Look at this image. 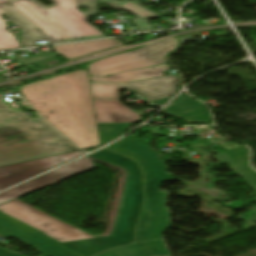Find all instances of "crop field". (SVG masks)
<instances>
[{"instance_id": "14", "label": "crop field", "mask_w": 256, "mask_h": 256, "mask_svg": "<svg viewBox=\"0 0 256 256\" xmlns=\"http://www.w3.org/2000/svg\"><path fill=\"white\" fill-rule=\"evenodd\" d=\"M5 1H8V0H0V3L5 2Z\"/></svg>"}, {"instance_id": "13", "label": "crop field", "mask_w": 256, "mask_h": 256, "mask_svg": "<svg viewBox=\"0 0 256 256\" xmlns=\"http://www.w3.org/2000/svg\"><path fill=\"white\" fill-rule=\"evenodd\" d=\"M170 98L167 99H163V100H159V101H155V102H151V103H155V104H159V105H163L167 100H169Z\"/></svg>"}, {"instance_id": "11", "label": "crop field", "mask_w": 256, "mask_h": 256, "mask_svg": "<svg viewBox=\"0 0 256 256\" xmlns=\"http://www.w3.org/2000/svg\"><path fill=\"white\" fill-rule=\"evenodd\" d=\"M169 69L166 64L140 69V70H132L125 71L118 74H114L107 78H96L89 77L90 81H105V82H131L135 80L155 78L159 76H164L163 71Z\"/></svg>"}, {"instance_id": "1", "label": "crop field", "mask_w": 256, "mask_h": 256, "mask_svg": "<svg viewBox=\"0 0 256 256\" xmlns=\"http://www.w3.org/2000/svg\"><path fill=\"white\" fill-rule=\"evenodd\" d=\"M45 7L36 0H11L0 4V15L5 14L24 34L23 47L47 40L49 44L105 37L85 20L97 13L96 0H51ZM81 5L89 7L79 12ZM0 17V50L20 48L5 28Z\"/></svg>"}, {"instance_id": "8", "label": "crop field", "mask_w": 256, "mask_h": 256, "mask_svg": "<svg viewBox=\"0 0 256 256\" xmlns=\"http://www.w3.org/2000/svg\"><path fill=\"white\" fill-rule=\"evenodd\" d=\"M97 123L137 122V113L128 110L119 101H93Z\"/></svg>"}, {"instance_id": "5", "label": "crop field", "mask_w": 256, "mask_h": 256, "mask_svg": "<svg viewBox=\"0 0 256 256\" xmlns=\"http://www.w3.org/2000/svg\"><path fill=\"white\" fill-rule=\"evenodd\" d=\"M176 75L133 83L90 82L93 100H119V89L135 90L151 102L171 97L178 86Z\"/></svg>"}, {"instance_id": "3", "label": "crop field", "mask_w": 256, "mask_h": 256, "mask_svg": "<svg viewBox=\"0 0 256 256\" xmlns=\"http://www.w3.org/2000/svg\"><path fill=\"white\" fill-rule=\"evenodd\" d=\"M79 150L39 117L0 100V166Z\"/></svg>"}, {"instance_id": "7", "label": "crop field", "mask_w": 256, "mask_h": 256, "mask_svg": "<svg viewBox=\"0 0 256 256\" xmlns=\"http://www.w3.org/2000/svg\"><path fill=\"white\" fill-rule=\"evenodd\" d=\"M94 168L87 156L62 168L0 193V204Z\"/></svg>"}, {"instance_id": "2", "label": "crop field", "mask_w": 256, "mask_h": 256, "mask_svg": "<svg viewBox=\"0 0 256 256\" xmlns=\"http://www.w3.org/2000/svg\"><path fill=\"white\" fill-rule=\"evenodd\" d=\"M88 71L21 86L25 99L81 148L100 145Z\"/></svg>"}, {"instance_id": "4", "label": "crop field", "mask_w": 256, "mask_h": 256, "mask_svg": "<svg viewBox=\"0 0 256 256\" xmlns=\"http://www.w3.org/2000/svg\"><path fill=\"white\" fill-rule=\"evenodd\" d=\"M179 43L173 37L148 44L138 50L115 55L88 66L90 76L103 77L124 70L140 69L166 63L169 52Z\"/></svg>"}, {"instance_id": "12", "label": "crop field", "mask_w": 256, "mask_h": 256, "mask_svg": "<svg viewBox=\"0 0 256 256\" xmlns=\"http://www.w3.org/2000/svg\"><path fill=\"white\" fill-rule=\"evenodd\" d=\"M202 107H205V106L200 104L198 101L190 98L189 96L184 95L176 103H174L171 107L164 110L163 112L169 115H173V114L190 111V110H194Z\"/></svg>"}, {"instance_id": "6", "label": "crop field", "mask_w": 256, "mask_h": 256, "mask_svg": "<svg viewBox=\"0 0 256 256\" xmlns=\"http://www.w3.org/2000/svg\"><path fill=\"white\" fill-rule=\"evenodd\" d=\"M83 154L82 151H79L0 167V190Z\"/></svg>"}, {"instance_id": "9", "label": "crop field", "mask_w": 256, "mask_h": 256, "mask_svg": "<svg viewBox=\"0 0 256 256\" xmlns=\"http://www.w3.org/2000/svg\"><path fill=\"white\" fill-rule=\"evenodd\" d=\"M101 1L104 3H108L111 7L115 9L126 10L132 13L135 17V19L132 21L135 26L139 27V32L152 30L148 19L158 16L154 12L140 5L139 1L137 0H124L122 2L116 0Z\"/></svg>"}, {"instance_id": "10", "label": "crop field", "mask_w": 256, "mask_h": 256, "mask_svg": "<svg viewBox=\"0 0 256 256\" xmlns=\"http://www.w3.org/2000/svg\"><path fill=\"white\" fill-rule=\"evenodd\" d=\"M118 46L114 39L54 46V50L67 60L97 52L110 47Z\"/></svg>"}]
</instances>
